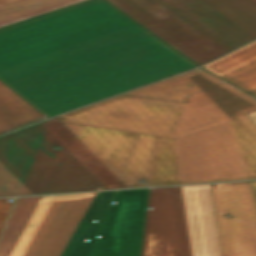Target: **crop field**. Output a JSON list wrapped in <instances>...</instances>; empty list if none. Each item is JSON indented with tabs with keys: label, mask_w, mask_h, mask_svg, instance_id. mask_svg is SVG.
Wrapping results in <instances>:
<instances>
[{
	"label": "crop field",
	"mask_w": 256,
	"mask_h": 256,
	"mask_svg": "<svg viewBox=\"0 0 256 256\" xmlns=\"http://www.w3.org/2000/svg\"><path fill=\"white\" fill-rule=\"evenodd\" d=\"M193 67L103 0L2 28L0 134Z\"/></svg>",
	"instance_id": "obj_1"
},
{
	"label": "crop field",
	"mask_w": 256,
	"mask_h": 256,
	"mask_svg": "<svg viewBox=\"0 0 256 256\" xmlns=\"http://www.w3.org/2000/svg\"><path fill=\"white\" fill-rule=\"evenodd\" d=\"M58 118L128 187L242 179L148 86Z\"/></svg>",
	"instance_id": "obj_2"
},
{
	"label": "crop field",
	"mask_w": 256,
	"mask_h": 256,
	"mask_svg": "<svg viewBox=\"0 0 256 256\" xmlns=\"http://www.w3.org/2000/svg\"><path fill=\"white\" fill-rule=\"evenodd\" d=\"M243 179H256V99L198 68L149 85Z\"/></svg>",
	"instance_id": "obj_3"
},
{
	"label": "crop field",
	"mask_w": 256,
	"mask_h": 256,
	"mask_svg": "<svg viewBox=\"0 0 256 256\" xmlns=\"http://www.w3.org/2000/svg\"><path fill=\"white\" fill-rule=\"evenodd\" d=\"M0 161L33 194L106 188L40 123L0 136Z\"/></svg>",
	"instance_id": "obj_4"
},
{
	"label": "crop field",
	"mask_w": 256,
	"mask_h": 256,
	"mask_svg": "<svg viewBox=\"0 0 256 256\" xmlns=\"http://www.w3.org/2000/svg\"><path fill=\"white\" fill-rule=\"evenodd\" d=\"M95 194L42 196L9 256H60Z\"/></svg>",
	"instance_id": "obj_5"
},
{
	"label": "crop field",
	"mask_w": 256,
	"mask_h": 256,
	"mask_svg": "<svg viewBox=\"0 0 256 256\" xmlns=\"http://www.w3.org/2000/svg\"><path fill=\"white\" fill-rule=\"evenodd\" d=\"M211 187L222 256H256V201L250 183Z\"/></svg>",
	"instance_id": "obj_6"
},
{
	"label": "crop field",
	"mask_w": 256,
	"mask_h": 256,
	"mask_svg": "<svg viewBox=\"0 0 256 256\" xmlns=\"http://www.w3.org/2000/svg\"><path fill=\"white\" fill-rule=\"evenodd\" d=\"M106 1L199 65L227 52L155 0Z\"/></svg>",
	"instance_id": "obj_7"
},
{
	"label": "crop field",
	"mask_w": 256,
	"mask_h": 256,
	"mask_svg": "<svg viewBox=\"0 0 256 256\" xmlns=\"http://www.w3.org/2000/svg\"><path fill=\"white\" fill-rule=\"evenodd\" d=\"M142 256H191L180 186L151 188Z\"/></svg>",
	"instance_id": "obj_8"
},
{
	"label": "crop field",
	"mask_w": 256,
	"mask_h": 256,
	"mask_svg": "<svg viewBox=\"0 0 256 256\" xmlns=\"http://www.w3.org/2000/svg\"><path fill=\"white\" fill-rule=\"evenodd\" d=\"M147 192L117 191L90 256H139Z\"/></svg>",
	"instance_id": "obj_9"
},
{
	"label": "crop field",
	"mask_w": 256,
	"mask_h": 256,
	"mask_svg": "<svg viewBox=\"0 0 256 256\" xmlns=\"http://www.w3.org/2000/svg\"><path fill=\"white\" fill-rule=\"evenodd\" d=\"M181 189L192 256H221L210 184Z\"/></svg>",
	"instance_id": "obj_10"
},
{
	"label": "crop field",
	"mask_w": 256,
	"mask_h": 256,
	"mask_svg": "<svg viewBox=\"0 0 256 256\" xmlns=\"http://www.w3.org/2000/svg\"><path fill=\"white\" fill-rule=\"evenodd\" d=\"M203 67L256 96V41Z\"/></svg>",
	"instance_id": "obj_11"
},
{
	"label": "crop field",
	"mask_w": 256,
	"mask_h": 256,
	"mask_svg": "<svg viewBox=\"0 0 256 256\" xmlns=\"http://www.w3.org/2000/svg\"><path fill=\"white\" fill-rule=\"evenodd\" d=\"M107 188L123 184L57 117L41 122Z\"/></svg>",
	"instance_id": "obj_12"
},
{
	"label": "crop field",
	"mask_w": 256,
	"mask_h": 256,
	"mask_svg": "<svg viewBox=\"0 0 256 256\" xmlns=\"http://www.w3.org/2000/svg\"><path fill=\"white\" fill-rule=\"evenodd\" d=\"M114 192H97L61 256H88Z\"/></svg>",
	"instance_id": "obj_13"
},
{
	"label": "crop field",
	"mask_w": 256,
	"mask_h": 256,
	"mask_svg": "<svg viewBox=\"0 0 256 256\" xmlns=\"http://www.w3.org/2000/svg\"><path fill=\"white\" fill-rule=\"evenodd\" d=\"M82 0H0V26L34 17Z\"/></svg>",
	"instance_id": "obj_14"
},
{
	"label": "crop field",
	"mask_w": 256,
	"mask_h": 256,
	"mask_svg": "<svg viewBox=\"0 0 256 256\" xmlns=\"http://www.w3.org/2000/svg\"><path fill=\"white\" fill-rule=\"evenodd\" d=\"M251 38H256V6L248 0H201Z\"/></svg>",
	"instance_id": "obj_15"
},
{
	"label": "crop field",
	"mask_w": 256,
	"mask_h": 256,
	"mask_svg": "<svg viewBox=\"0 0 256 256\" xmlns=\"http://www.w3.org/2000/svg\"><path fill=\"white\" fill-rule=\"evenodd\" d=\"M39 197L17 198L0 236V256H8L28 222Z\"/></svg>",
	"instance_id": "obj_16"
},
{
	"label": "crop field",
	"mask_w": 256,
	"mask_h": 256,
	"mask_svg": "<svg viewBox=\"0 0 256 256\" xmlns=\"http://www.w3.org/2000/svg\"><path fill=\"white\" fill-rule=\"evenodd\" d=\"M176 9L181 11L183 14L191 18L193 21L198 23L200 26L205 28L207 31L212 33L214 36L222 40L224 43L229 45L231 48L235 49L243 44H245L242 40L237 38L231 32L226 30L224 27L219 25L213 19L208 17L206 14L201 12L195 6L190 4L186 0H165Z\"/></svg>",
	"instance_id": "obj_17"
},
{
	"label": "crop field",
	"mask_w": 256,
	"mask_h": 256,
	"mask_svg": "<svg viewBox=\"0 0 256 256\" xmlns=\"http://www.w3.org/2000/svg\"><path fill=\"white\" fill-rule=\"evenodd\" d=\"M32 194L1 162H0V196Z\"/></svg>",
	"instance_id": "obj_18"
},
{
	"label": "crop field",
	"mask_w": 256,
	"mask_h": 256,
	"mask_svg": "<svg viewBox=\"0 0 256 256\" xmlns=\"http://www.w3.org/2000/svg\"><path fill=\"white\" fill-rule=\"evenodd\" d=\"M190 3L195 5L197 8L202 10L204 13H206L208 16L213 18L215 21L220 23L222 26H224L226 29L231 31L233 34L238 36L240 39H242L244 42H249L253 39H251L249 36H247L245 33L240 31L238 28H236L234 25H232L230 22L225 20L223 17H221L219 14L214 12L212 9H210L208 6H206L204 3H202L199 0H188Z\"/></svg>",
	"instance_id": "obj_19"
},
{
	"label": "crop field",
	"mask_w": 256,
	"mask_h": 256,
	"mask_svg": "<svg viewBox=\"0 0 256 256\" xmlns=\"http://www.w3.org/2000/svg\"><path fill=\"white\" fill-rule=\"evenodd\" d=\"M159 3H161L163 6H165L166 8H168L169 10H171L173 13H175L176 15H178L180 18H182L183 20H185L186 22H188L190 25H192L193 27H195L197 30H199L200 32H202L203 34H205L207 37H209L210 39H212L213 41H215L216 43H218L220 46H222L223 48H225L226 50L230 51L232 50L229 46H227L226 44H224L222 41H220L219 39H217L216 37H214L212 34H210L209 32H207L205 29H203L202 27H200L198 24H196L195 22H193L191 19H189L188 17H186L185 15H183L181 12H179L178 10H176L174 7H172L171 5H169L167 2H165L164 0H156Z\"/></svg>",
	"instance_id": "obj_20"
},
{
	"label": "crop field",
	"mask_w": 256,
	"mask_h": 256,
	"mask_svg": "<svg viewBox=\"0 0 256 256\" xmlns=\"http://www.w3.org/2000/svg\"><path fill=\"white\" fill-rule=\"evenodd\" d=\"M14 199V198H9ZM8 199H0V231L3 227V224L6 220V217L11 209L13 202H7Z\"/></svg>",
	"instance_id": "obj_21"
},
{
	"label": "crop field",
	"mask_w": 256,
	"mask_h": 256,
	"mask_svg": "<svg viewBox=\"0 0 256 256\" xmlns=\"http://www.w3.org/2000/svg\"><path fill=\"white\" fill-rule=\"evenodd\" d=\"M247 116L252 120V122L256 125V111L247 114Z\"/></svg>",
	"instance_id": "obj_22"
},
{
	"label": "crop field",
	"mask_w": 256,
	"mask_h": 256,
	"mask_svg": "<svg viewBox=\"0 0 256 256\" xmlns=\"http://www.w3.org/2000/svg\"><path fill=\"white\" fill-rule=\"evenodd\" d=\"M250 183H251V186H252L255 198H256V181L255 182H250Z\"/></svg>",
	"instance_id": "obj_23"
},
{
	"label": "crop field",
	"mask_w": 256,
	"mask_h": 256,
	"mask_svg": "<svg viewBox=\"0 0 256 256\" xmlns=\"http://www.w3.org/2000/svg\"><path fill=\"white\" fill-rule=\"evenodd\" d=\"M250 1L256 5V0H250Z\"/></svg>",
	"instance_id": "obj_24"
}]
</instances>
